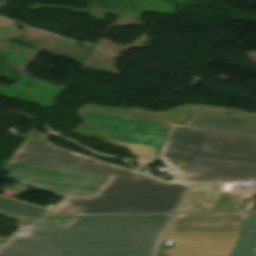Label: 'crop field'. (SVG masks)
I'll list each match as a JSON object with an SVG mask.
<instances>
[{
    "instance_id": "4",
    "label": "crop field",
    "mask_w": 256,
    "mask_h": 256,
    "mask_svg": "<svg viewBox=\"0 0 256 256\" xmlns=\"http://www.w3.org/2000/svg\"><path fill=\"white\" fill-rule=\"evenodd\" d=\"M190 184L118 178L78 214L177 212Z\"/></svg>"
},
{
    "instance_id": "12",
    "label": "crop field",
    "mask_w": 256,
    "mask_h": 256,
    "mask_svg": "<svg viewBox=\"0 0 256 256\" xmlns=\"http://www.w3.org/2000/svg\"><path fill=\"white\" fill-rule=\"evenodd\" d=\"M220 193L227 194L221 207H220V209L223 210L231 193L223 192V191H221ZM234 195H239V194H234Z\"/></svg>"
},
{
    "instance_id": "5",
    "label": "crop field",
    "mask_w": 256,
    "mask_h": 256,
    "mask_svg": "<svg viewBox=\"0 0 256 256\" xmlns=\"http://www.w3.org/2000/svg\"><path fill=\"white\" fill-rule=\"evenodd\" d=\"M11 160L112 174L122 178L136 180L148 177V175L144 173H138L131 169L109 165L77 153L55 148L51 143L31 138H28L23 142Z\"/></svg>"
},
{
    "instance_id": "9",
    "label": "crop field",
    "mask_w": 256,
    "mask_h": 256,
    "mask_svg": "<svg viewBox=\"0 0 256 256\" xmlns=\"http://www.w3.org/2000/svg\"><path fill=\"white\" fill-rule=\"evenodd\" d=\"M46 209L0 197V215L36 223L65 224L72 217H41ZM35 224V225H36Z\"/></svg>"
},
{
    "instance_id": "6",
    "label": "crop field",
    "mask_w": 256,
    "mask_h": 256,
    "mask_svg": "<svg viewBox=\"0 0 256 256\" xmlns=\"http://www.w3.org/2000/svg\"><path fill=\"white\" fill-rule=\"evenodd\" d=\"M99 131L119 134L136 155L157 158L172 125L80 113Z\"/></svg>"
},
{
    "instance_id": "11",
    "label": "crop field",
    "mask_w": 256,
    "mask_h": 256,
    "mask_svg": "<svg viewBox=\"0 0 256 256\" xmlns=\"http://www.w3.org/2000/svg\"><path fill=\"white\" fill-rule=\"evenodd\" d=\"M229 256H256V213H250Z\"/></svg>"
},
{
    "instance_id": "1",
    "label": "crop field",
    "mask_w": 256,
    "mask_h": 256,
    "mask_svg": "<svg viewBox=\"0 0 256 256\" xmlns=\"http://www.w3.org/2000/svg\"><path fill=\"white\" fill-rule=\"evenodd\" d=\"M176 214L75 217L66 226H25L0 256H157ZM165 240V239H164Z\"/></svg>"
},
{
    "instance_id": "3",
    "label": "crop field",
    "mask_w": 256,
    "mask_h": 256,
    "mask_svg": "<svg viewBox=\"0 0 256 256\" xmlns=\"http://www.w3.org/2000/svg\"><path fill=\"white\" fill-rule=\"evenodd\" d=\"M0 170L6 178L50 194L66 197L48 214H76L118 177L9 161Z\"/></svg>"
},
{
    "instance_id": "2",
    "label": "crop field",
    "mask_w": 256,
    "mask_h": 256,
    "mask_svg": "<svg viewBox=\"0 0 256 256\" xmlns=\"http://www.w3.org/2000/svg\"><path fill=\"white\" fill-rule=\"evenodd\" d=\"M158 157L186 182L256 180V135L173 125Z\"/></svg>"
},
{
    "instance_id": "7",
    "label": "crop field",
    "mask_w": 256,
    "mask_h": 256,
    "mask_svg": "<svg viewBox=\"0 0 256 256\" xmlns=\"http://www.w3.org/2000/svg\"><path fill=\"white\" fill-rule=\"evenodd\" d=\"M248 214H179L170 233L240 232Z\"/></svg>"
},
{
    "instance_id": "14",
    "label": "crop field",
    "mask_w": 256,
    "mask_h": 256,
    "mask_svg": "<svg viewBox=\"0 0 256 256\" xmlns=\"http://www.w3.org/2000/svg\"><path fill=\"white\" fill-rule=\"evenodd\" d=\"M6 239L0 238V245L5 241Z\"/></svg>"
},
{
    "instance_id": "8",
    "label": "crop field",
    "mask_w": 256,
    "mask_h": 256,
    "mask_svg": "<svg viewBox=\"0 0 256 256\" xmlns=\"http://www.w3.org/2000/svg\"><path fill=\"white\" fill-rule=\"evenodd\" d=\"M186 125L256 134V114L242 112L222 117L193 113Z\"/></svg>"
},
{
    "instance_id": "13",
    "label": "crop field",
    "mask_w": 256,
    "mask_h": 256,
    "mask_svg": "<svg viewBox=\"0 0 256 256\" xmlns=\"http://www.w3.org/2000/svg\"><path fill=\"white\" fill-rule=\"evenodd\" d=\"M251 210H256V201H255V203H254V205H253Z\"/></svg>"
},
{
    "instance_id": "10",
    "label": "crop field",
    "mask_w": 256,
    "mask_h": 256,
    "mask_svg": "<svg viewBox=\"0 0 256 256\" xmlns=\"http://www.w3.org/2000/svg\"><path fill=\"white\" fill-rule=\"evenodd\" d=\"M223 184H193L180 212L211 211Z\"/></svg>"
}]
</instances>
